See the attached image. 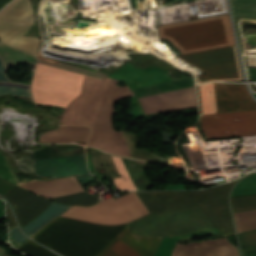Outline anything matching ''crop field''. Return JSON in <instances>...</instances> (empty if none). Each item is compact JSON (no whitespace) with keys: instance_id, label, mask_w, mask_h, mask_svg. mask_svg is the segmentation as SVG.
I'll return each instance as SVG.
<instances>
[{"instance_id":"crop-field-19","label":"crop field","mask_w":256,"mask_h":256,"mask_svg":"<svg viewBox=\"0 0 256 256\" xmlns=\"http://www.w3.org/2000/svg\"><path fill=\"white\" fill-rule=\"evenodd\" d=\"M192 85H194L193 77L174 81V82H169L165 84H160L156 86H151L143 89H138V90H134L133 92L136 95V97H139V96L178 89V88L192 86Z\"/></svg>"},{"instance_id":"crop-field-18","label":"crop field","mask_w":256,"mask_h":256,"mask_svg":"<svg viewBox=\"0 0 256 256\" xmlns=\"http://www.w3.org/2000/svg\"><path fill=\"white\" fill-rule=\"evenodd\" d=\"M69 207L71 206L52 202V204L45 211H43L36 219L28 223L22 229L28 236L31 237L37 230L54 219L56 216L62 214Z\"/></svg>"},{"instance_id":"crop-field-23","label":"crop field","mask_w":256,"mask_h":256,"mask_svg":"<svg viewBox=\"0 0 256 256\" xmlns=\"http://www.w3.org/2000/svg\"><path fill=\"white\" fill-rule=\"evenodd\" d=\"M117 167V170L121 177L114 178L115 185L117 189H127V190H136L135 186L133 185L122 161L118 157L112 156Z\"/></svg>"},{"instance_id":"crop-field-4","label":"crop field","mask_w":256,"mask_h":256,"mask_svg":"<svg viewBox=\"0 0 256 256\" xmlns=\"http://www.w3.org/2000/svg\"><path fill=\"white\" fill-rule=\"evenodd\" d=\"M34 22L33 11L30 0H13L0 12V39L2 42L16 48L24 49L35 53L39 38L23 36L27 29ZM38 62L51 66L104 78L108 74L69 65L41 57H37Z\"/></svg>"},{"instance_id":"crop-field-8","label":"crop field","mask_w":256,"mask_h":256,"mask_svg":"<svg viewBox=\"0 0 256 256\" xmlns=\"http://www.w3.org/2000/svg\"><path fill=\"white\" fill-rule=\"evenodd\" d=\"M178 57L208 73L196 77L199 83L241 79L235 47L178 55Z\"/></svg>"},{"instance_id":"crop-field-6","label":"crop field","mask_w":256,"mask_h":256,"mask_svg":"<svg viewBox=\"0 0 256 256\" xmlns=\"http://www.w3.org/2000/svg\"><path fill=\"white\" fill-rule=\"evenodd\" d=\"M149 213L148 209L135 192H131L116 200L108 198L94 207H72L63 216L84 221L116 225L131 222Z\"/></svg>"},{"instance_id":"crop-field-20","label":"crop field","mask_w":256,"mask_h":256,"mask_svg":"<svg viewBox=\"0 0 256 256\" xmlns=\"http://www.w3.org/2000/svg\"><path fill=\"white\" fill-rule=\"evenodd\" d=\"M235 17L256 19V0H232Z\"/></svg>"},{"instance_id":"crop-field-13","label":"crop field","mask_w":256,"mask_h":256,"mask_svg":"<svg viewBox=\"0 0 256 256\" xmlns=\"http://www.w3.org/2000/svg\"><path fill=\"white\" fill-rule=\"evenodd\" d=\"M12 50V48L0 43V51ZM31 55V54H30ZM22 51L12 50L0 52V58L10 67L15 64L31 62L35 63L36 58L30 56ZM0 59V95L15 94L22 96H31L30 85L11 81L6 75L5 70L8 69Z\"/></svg>"},{"instance_id":"crop-field-15","label":"crop field","mask_w":256,"mask_h":256,"mask_svg":"<svg viewBox=\"0 0 256 256\" xmlns=\"http://www.w3.org/2000/svg\"><path fill=\"white\" fill-rule=\"evenodd\" d=\"M172 256H239L238 249L225 238L220 240L176 244Z\"/></svg>"},{"instance_id":"crop-field-33","label":"crop field","mask_w":256,"mask_h":256,"mask_svg":"<svg viewBox=\"0 0 256 256\" xmlns=\"http://www.w3.org/2000/svg\"><path fill=\"white\" fill-rule=\"evenodd\" d=\"M3 202L0 200V208L2 207Z\"/></svg>"},{"instance_id":"crop-field-12","label":"crop field","mask_w":256,"mask_h":256,"mask_svg":"<svg viewBox=\"0 0 256 256\" xmlns=\"http://www.w3.org/2000/svg\"><path fill=\"white\" fill-rule=\"evenodd\" d=\"M145 115L197 107L194 87L138 99Z\"/></svg>"},{"instance_id":"crop-field-27","label":"crop field","mask_w":256,"mask_h":256,"mask_svg":"<svg viewBox=\"0 0 256 256\" xmlns=\"http://www.w3.org/2000/svg\"><path fill=\"white\" fill-rule=\"evenodd\" d=\"M19 250L29 254L30 256H57L32 241L25 243L21 248H19Z\"/></svg>"},{"instance_id":"crop-field-16","label":"crop field","mask_w":256,"mask_h":256,"mask_svg":"<svg viewBox=\"0 0 256 256\" xmlns=\"http://www.w3.org/2000/svg\"><path fill=\"white\" fill-rule=\"evenodd\" d=\"M199 206L221 233L225 235L234 233L228 198L200 204Z\"/></svg>"},{"instance_id":"crop-field-29","label":"crop field","mask_w":256,"mask_h":256,"mask_svg":"<svg viewBox=\"0 0 256 256\" xmlns=\"http://www.w3.org/2000/svg\"><path fill=\"white\" fill-rule=\"evenodd\" d=\"M12 234L22 243L24 242L26 239H28L27 237L24 236V234L20 231L18 225L10 228Z\"/></svg>"},{"instance_id":"crop-field-28","label":"crop field","mask_w":256,"mask_h":256,"mask_svg":"<svg viewBox=\"0 0 256 256\" xmlns=\"http://www.w3.org/2000/svg\"><path fill=\"white\" fill-rule=\"evenodd\" d=\"M69 166L70 165L62 164L61 167H60L58 177L64 176V175H71V174H86V173H89L86 165L76 167V168H72V169H69Z\"/></svg>"},{"instance_id":"crop-field-11","label":"crop field","mask_w":256,"mask_h":256,"mask_svg":"<svg viewBox=\"0 0 256 256\" xmlns=\"http://www.w3.org/2000/svg\"><path fill=\"white\" fill-rule=\"evenodd\" d=\"M0 177L12 182L18 183L16 175L7 165L4 156L0 153ZM20 185L42 197L51 198L57 196H63L67 194H72L76 192H82L84 189L78 183L75 176L64 178V179H55L49 181H26L23 183H18Z\"/></svg>"},{"instance_id":"crop-field-31","label":"crop field","mask_w":256,"mask_h":256,"mask_svg":"<svg viewBox=\"0 0 256 256\" xmlns=\"http://www.w3.org/2000/svg\"><path fill=\"white\" fill-rule=\"evenodd\" d=\"M248 78L256 80V69L246 68Z\"/></svg>"},{"instance_id":"crop-field-1","label":"crop field","mask_w":256,"mask_h":256,"mask_svg":"<svg viewBox=\"0 0 256 256\" xmlns=\"http://www.w3.org/2000/svg\"><path fill=\"white\" fill-rule=\"evenodd\" d=\"M85 75L37 63L32 92L35 103L67 107L78 96ZM117 80L85 76L81 93L65 109L61 124H83L92 129L114 130V104L126 96H134L128 86ZM88 145L111 153L128 156L121 131L93 130Z\"/></svg>"},{"instance_id":"crop-field-5","label":"crop field","mask_w":256,"mask_h":256,"mask_svg":"<svg viewBox=\"0 0 256 256\" xmlns=\"http://www.w3.org/2000/svg\"><path fill=\"white\" fill-rule=\"evenodd\" d=\"M215 227L198 205L169 212L150 213L132 223L139 235L178 237Z\"/></svg>"},{"instance_id":"crop-field-9","label":"crop field","mask_w":256,"mask_h":256,"mask_svg":"<svg viewBox=\"0 0 256 256\" xmlns=\"http://www.w3.org/2000/svg\"><path fill=\"white\" fill-rule=\"evenodd\" d=\"M235 181L204 191L137 192L150 212L169 211L186 206L226 198ZM148 210V211H149Z\"/></svg>"},{"instance_id":"crop-field-10","label":"crop field","mask_w":256,"mask_h":256,"mask_svg":"<svg viewBox=\"0 0 256 256\" xmlns=\"http://www.w3.org/2000/svg\"><path fill=\"white\" fill-rule=\"evenodd\" d=\"M206 139L256 135V110L201 116Z\"/></svg>"},{"instance_id":"crop-field-35","label":"crop field","mask_w":256,"mask_h":256,"mask_svg":"<svg viewBox=\"0 0 256 256\" xmlns=\"http://www.w3.org/2000/svg\"><path fill=\"white\" fill-rule=\"evenodd\" d=\"M1 198V197H0Z\"/></svg>"},{"instance_id":"crop-field-21","label":"crop field","mask_w":256,"mask_h":256,"mask_svg":"<svg viewBox=\"0 0 256 256\" xmlns=\"http://www.w3.org/2000/svg\"><path fill=\"white\" fill-rule=\"evenodd\" d=\"M51 200L59 203H65L70 205H82V206H91L98 202L96 198L89 196L88 192L63 196V197H59Z\"/></svg>"},{"instance_id":"crop-field-7","label":"crop field","mask_w":256,"mask_h":256,"mask_svg":"<svg viewBox=\"0 0 256 256\" xmlns=\"http://www.w3.org/2000/svg\"><path fill=\"white\" fill-rule=\"evenodd\" d=\"M199 89L203 114L256 109L246 86L207 83Z\"/></svg>"},{"instance_id":"crop-field-3","label":"crop field","mask_w":256,"mask_h":256,"mask_svg":"<svg viewBox=\"0 0 256 256\" xmlns=\"http://www.w3.org/2000/svg\"><path fill=\"white\" fill-rule=\"evenodd\" d=\"M158 27L161 39L168 38L181 54L236 45L228 14Z\"/></svg>"},{"instance_id":"crop-field-25","label":"crop field","mask_w":256,"mask_h":256,"mask_svg":"<svg viewBox=\"0 0 256 256\" xmlns=\"http://www.w3.org/2000/svg\"><path fill=\"white\" fill-rule=\"evenodd\" d=\"M242 253L256 252V231L238 234ZM243 256H256V253L246 254Z\"/></svg>"},{"instance_id":"crop-field-32","label":"crop field","mask_w":256,"mask_h":256,"mask_svg":"<svg viewBox=\"0 0 256 256\" xmlns=\"http://www.w3.org/2000/svg\"><path fill=\"white\" fill-rule=\"evenodd\" d=\"M10 0H0V8H2L6 3H8Z\"/></svg>"},{"instance_id":"crop-field-22","label":"crop field","mask_w":256,"mask_h":256,"mask_svg":"<svg viewBox=\"0 0 256 256\" xmlns=\"http://www.w3.org/2000/svg\"><path fill=\"white\" fill-rule=\"evenodd\" d=\"M256 194V173L241 180L235 186L231 197Z\"/></svg>"},{"instance_id":"crop-field-2","label":"crop field","mask_w":256,"mask_h":256,"mask_svg":"<svg viewBox=\"0 0 256 256\" xmlns=\"http://www.w3.org/2000/svg\"><path fill=\"white\" fill-rule=\"evenodd\" d=\"M57 218L32 238L64 256H96L127 225L105 226ZM162 239L133 234L128 224L97 256H153Z\"/></svg>"},{"instance_id":"crop-field-26","label":"crop field","mask_w":256,"mask_h":256,"mask_svg":"<svg viewBox=\"0 0 256 256\" xmlns=\"http://www.w3.org/2000/svg\"><path fill=\"white\" fill-rule=\"evenodd\" d=\"M234 213L256 209V195L232 198Z\"/></svg>"},{"instance_id":"crop-field-34","label":"crop field","mask_w":256,"mask_h":256,"mask_svg":"<svg viewBox=\"0 0 256 256\" xmlns=\"http://www.w3.org/2000/svg\"><path fill=\"white\" fill-rule=\"evenodd\" d=\"M2 256H7L6 254L2 255Z\"/></svg>"},{"instance_id":"crop-field-24","label":"crop field","mask_w":256,"mask_h":256,"mask_svg":"<svg viewBox=\"0 0 256 256\" xmlns=\"http://www.w3.org/2000/svg\"><path fill=\"white\" fill-rule=\"evenodd\" d=\"M238 232L256 229V210L234 214Z\"/></svg>"},{"instance_id":"crop-field-17","label":"crop field","mask_w":256,"mask_h":256,"mask_svg":"<svg viewBox=\"0 0 256 256\" xmlns=\"http://www.w3.org/2000/svg\"><path fill=\"white\" fill-rule=\"evenodd\" d=\"M90 134V128L83 126H60L58 130L41 135L42 142H86Z\"/></svg>"},{"instance_id":"crop-field-14","label":"crop field","mask_w":256,"mask_h":256,"mask_svg":"<svg viewBox=\"0 0 256 256\" xmlns=\"http://www.w3.org/2000/svg\"><path fill=\"white\" fill-rule=\"evenodd\" d=\"M5 197L12 203L21 227L33 220L51 203L17 186Z\"/></svg>"},{"instance_id":"crop-field-30","label":"crop field","mask_w":256,"mask_h":256,"mask_svg":"<svg viewBox=\"0 0 256 256\" xmlns=\"http://www.w3.org/2000/svg\"><path fill=\"white\" fill-rule=\"evenodd\" d=\"M6 215H7V221H8L9 228L16 225L15 218L12 214L11 208L8 205V203H7V208H6Z\"/></svg>"}]
</instances>
